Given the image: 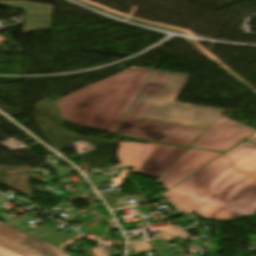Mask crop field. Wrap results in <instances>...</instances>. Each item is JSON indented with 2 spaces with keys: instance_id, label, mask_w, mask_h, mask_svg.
I'll return each mask as SVG.
<instances>
[{
  "instance_id": "crop-field-1",
  "label": "crop field",
  "mask_w": 256,
  "mask_h": 256,
  "mask_svg": "<svg viewBox=\"0 0 256 256\" xmlns=\"http://www.w3.org/2000/svg\"><path fill=\"white\" fill-rule=\"evenodd\" d=\"M162 196L182 214L196 213L204 219L223 221L253 215L256 144H240Z\"/></svg>"
},
{
  "instance_id": "crop-field-2",
  "label": "crop field",
  "mask_w": 256,
  "mask_h": 256,
  "mask_svg": "<svg viewBox=\"0 0 256 256\" xmlns=\"http://www.w3.org/2000/svg\"><path fill=\"white\" fill-rule=\"evenodd\" d=\"M189 78L155 70L116 133L190 147L225 110L175 103Z\"/></svg>"
},
{
  "instance_id": "crop-field-3",
  "label": "crop field",
  "mask_w": 256,
  "mask_h": 256,
  "mask_svg": "<svg viewBox=\"0 0 256 256\" xmlns=\"http://www.w3.org/2000/svg\"><path fill=\"white\" fill-rule=\"evenodd\" d=\"M153 72L132 66L60 98V116L78 126L115 132Z\"/></svg>"
},
{
  "instance_id": "crop-field-4",
  "label": "crop field",
  "mask_w": 256,
  "mask_h": 256,
  "mask_svg": "<svg viewBox=\"0 0 256 256\" xmlns=\"http://www.w3.org/2000/svg\"><path fill=\"white\" fill-rule=\"evenodd\" d=\"M187 149L148 143H119L120 167L131 166V172L157 178Z\"/></svg>"
},
{
  "instance_id": "crop-field-5",
  "label": "crop field",
  "mask_w": 256,
  "mask_h": 256,
  "mask_svg": "<svg viewBox=\"0 0 256 256\" xmlns=\"http://www.w3.org/2000/svg\"><path fill=\"white\" fill-rule=\"evenodd\" d=\"M255 132L253 128L221 116L191 147L226 152Z\"/></svg>"
},
{
  "instance_id": "crop-field-6",
  "label": "crop field",
  "mask_w": 256,
  "mask_h": 256,
  "mask_svg": "<svg viewBox=\"0 0 256 256\" xmlns=\"http://www.w3.org/2000/svg\"><path fill=\"white\" fill-rule=\"evenodd\" d=\"M223 154L188 149L158 177L157 182L168 190Z\"/></svg>"
},
{
  "instance_id": "crop-field-7",
  "label": "crop field",
  "mask_w": 256,
  "mask_h": 256,
  "mask_svg": "<svg viewBox=\"0 0 256 256\" xmlns=\"http://www.w3.org/2000/svg\"><path fill=\"white\" fill-rule=\"evenodd\" d=\"M0 4L24 10V32L50 30L52 6L23 1H0Z\"/></svg>"
},
{
  "instance_id": "crop-field-8",
  "label": "crop field",
  "mask_w": 256,
  "mask_h": 256,
  "mask_svg": "<svg viewBox=\"0 0 256 256\" xmlns=\"http://www.w3.org/2000/svg\"><path fill=\"white\" fill-rule=\"evenodd\" d=\"M0 236L17 242L46 256H67L65 252L31 235L11 228L0 222Z\"/></svg>"
},
{
  "instance_id": "crop-field-9",
  "label": "crop field",
  "mask_w": 256,
  "mask_h": 256,
  "mask_svg": "<svg viewBox=\"0 0 256 256\" xmlns=\"http://www.w3.org/2000/svg\"><path fill=\"white\" fill-rule=\"evenodd\" d=\"M149 244L151 245L152 249L156 253L157 256H173L175 255L173 251H171L165 241L163 240H153V241H148ZM170 250L169 253H166L165 251Z\"/></svg>"
},
{
  "instance_id": "crop-field-10",
  "label": "crop field",
  "mask_w": 256,
  "mask_h": 256,
  "mask_svg": "<svg viewBox=\"0 0 256 256\" xmlns=\"http://www.w3.org/2000/svg\"><path fill=\"white\" fill-rule=\"evenodd\" d=\"M31 216H32L33 218H29V217H31ZM35 217H36L35 214H33V213H28V214L20 215V216H18V217H16V218H14V219H12V220H10V221L4 222V223H6V224H8V225H10V226H12V227H14V228H17V227H19V226H21V225H23V224H25V223L31 221V220L34 219ZM21 220H23V222H20Z\"/></svg>"
},
{
  "instance_id": "crop-field-11",
  "label": "crop field",
  "mask_w": 256,
  "mask_h": 256,
  "mask_svg": "<svg viewBox=\"0 0 256 256\" xmlns=\"http://www.w3.org/2000/svg\"><path fill=\"white\" fill-rule=\"evenodd\" d=\"M52 228H54V227H52ZM52 228L48 229L45 226H41V227L34 229L28 233L37 238L44 239L58 231L57 229L51 230Z\"/></svg>"
},
{
  "instance_id": "crop-field-12",
  "label": "crop field",
  "mask_w": 256,
  "mask_h": 256,
  "mask_svg": "<svg viewBox=\"0 0 256 256\" xmlns=\"http://www.w3.org/2000/svg\"><path fill=\"white\" fill-rule=\"evenodd\" d=\"M85 230L88 233H94L99 239L111 238L108 231L101 224L85 228Z\"/></svg>"
},
{
  "instance_id": "crop-field-13",
  "label": "crop field",
  "mask_w": 256,
  "mask_h": 256,
  "mask_svg": "<svg viewBox=\"0 0 256 256\" xmlns=\"http://www.w3.org/2000/svg\"><path fill=\"white\" fill-rule=\"evenodd\" d=\"M0 240L3 241V242H6V243H8V244H10V245H12V246H15V247H17V248H19V249H21V250H24V251H26V252H28V253H30V254H33V255H35V256H43V255H41V254H39V253H37V252H34V251H32V250H30V249H28V248H26V247H23V246H21V245H19V244H17V243H13V242H11V241H9V240H7V239H4V238H2V237H0Z\"/></svg>"
},
{
  "instance_id": "crop-field-14",
  "label": "crop field",
  "mask_w": 256,
  "mask_h": 256,
  "mask_svg": "<svg viewBox=\"0 0 256 256\" xmlns=\"http://www.w3.org/2000/svg\"><path fill=\"white\" fill-rule=\"evenodd\" d=\"M0 245L3 246V247H6V248H8V249H10L12 251H15V252H17V253H19V254H21L23 256H33V255H30V254H28V253H26L24 251H21V250L15 248V247H12V246H10V245H8L6 243H3L1 241H0Z\"/></svg>"
},
{
  "instance_id": "crop-field-15",
  "label": "crop field",
  "mask_w": 256,
  "mask_h": 256,
  "mask_svg": "<svg viewBox=\"0 0 256 256\" xmlns=\"http://www.w3.org/2000/svg\"><path fill=\"white\" fill-rule=\"evenodd\" d=\"M0 254L4 255V256H21V255L15 253V252H12V251H10L6 248H3L1 246H0Z\"/></svg>"
},
{
  "instance_id": "crop-field-16",
  "label": "crop field",
  "mask_w": 256,
  "mask_h": 256,
  "mask_svg": "<svg viewBox=\"0 0 256 256\" xmlns=\"http://www.w3.org/2000/svg\"><path fill=\"white\" fill-rule=\"evenodd\" d=\"M167 225L171 227V229H169V231H171L172 233H174L176 235L185 237V233L183 231H181L180 229H178L176 226H174L172 224H167Z\"/></svg>"
},
{
  "instance_id": "crop-field-17",
  "label": "crop field",
  "mask_w": 256,
  "mask_h": 256,
  "mask_svg": "<svg viewBox=\"0 0 256 256\" xmlns=\"http://www.w3.org/2000/svg\"><path fill=\"white\" fill-rule=\"evenodd\" d=\"M160 238H166L167 240H171L172 234L166 230H158Z\"/></svg>"
},
{
  "instance_id": "crop-field-18",
  "label": "crop field",
  "mask_w": 256,
  "mask_h": 256,
  "mask_svg": "<svg viewBox=\"0 0 256 256\" xmlns=\"http://www.w3.org/2000/svg\"><path fill=\"white\" fill-rule=\"evenodd\" d=\"M247 140L256 142V133L253 136H251L250 138H248Z\"/></svg>"
},
{
  "instance_id": "crop-field-19",
  "label": "crop field",
  "mask_w": 256,
  "mask_h": 256,
  "mask_svg": "<svg viewBox=\"0 0 256 256\" xmlns=\"http://www.w3.org/2000/svg\"><path fill=\"white\" fill-rule=\"evenodd\" d=\"M5 200H8V199H6V198H4L3 196L0 195V202H3Z\"/></svg>"
},
{
  "instance_id": "crop-field-20",
  "label": "crop field",
  "mask_w": 256,
  "mask_h": 256,
  "mask_svg": "<svg viewBox=\"0 0 256 256\" xmlns=\"http://www.w3.org/2000/svg\"><path fill=\"white\" fill-rule=\"evenodd\" d=\"M226 111H227V110H226ZM226 111H225V112H226ZM223 113H224V112H223Z\"/></svg>"
},
{
  "instance_id": "crop-field-21",
  "label": "crop field",
  "mask_w": 256,
  "mask_h": 256,
  "mask_svg": "<svg viewBox=\"0 0 256 256\" xmlns=\"http://www.w3.org/2000/svg\"><path fill=\"white\" fill-rule=\"evenodd\" d=\"M1 256V255H0Z\"/></svg>"
}]
</instances>
